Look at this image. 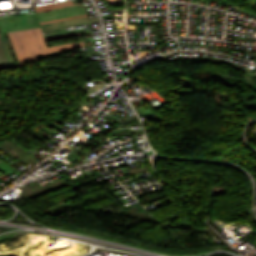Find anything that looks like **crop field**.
<instances>
[{
    "label": "crop field",
    "mask_w": 256,
    "mask_h": 256,
    "mask_svg": "<svg viewBox=\"0 0 256 256\" xmlns=\"http://www.w3.org/2000/svg\"><path fill=\"white\" fill-rule=\"evenodd\" d=\"M21 64L45 58L50 53L86 46L84 42L48 47L41 28L9 33Z\"/></svg>",
    "instance_id": "1"
},
{
    "label": "crop field",
    "mask_w": 256,
    "mask_h": 256,
    "mask_svg": "<svg viewBox=\"0 0 256 256\" xmlns=\"http://www.w3.org/2000/svg\"><path fill=\"white\" fill-rule=\"evenodd\" d=\"M96 22H99L98 18L88 19V17H85V18H79V19H73V20H67V21H61V22L43 24L41 25V28L43 31H46V30H55V29L73 27V26L88 24V23H96Z\"/></svg>",
    "instance_id": "2"
},
{
    "label": "crop field",
    "mask_w": 256,
    "mask_h": 256,
    "mask_svg": "<svg viewBox=\"0 0 256 256\" xmlns=\"http://www.w3.org/2000/svg\"><path fill=\"white\" fill-rule=\"evenodd\" d=\"M86 7V6H85ZM86 14L83 7L37 15L39 22Z\"/></svg>",
    "instance_id": "3"
},
{
    "label": "crop field",
    "mask_w": 256,
    "mask_h": 256,
    "mask_svg": "<svg viewBox=\"0 0 256 256\" xmlns=\"http://www.w3.org/2000/svg\"><path fill=\"white\" fill-rule=\"evenodd\" d=\"M69 5H73V2L69 1V2L50 4V5H46V6H38V7H35V10H36V12H39V11H44V10L65 7V6H69Z\"/></svg>",
    "instance_id": "4"
},
{
    "label": "crop field",
    "mask_w": 256,
    "mask_h": 256,
    "mask_svg": "<svg viewBox=\"0 0 256 256\" xmlns=\"http://www.w3.org/2000/svg\"><path fill=\"white\" fill-rule=\"evenodd\" d=\"M9 67H11V66L8 62V59H7L6 55H5L3 45H2V42H1V39H0V69L9 68Z\"/></svg>",
    "instance_id": "5"
},
{
    "label": "crop field",
    "mask_w": 256,
    "mask_h": 256,
    "mask_svg": "<svg viewBox=\"0 0 256 256\" xmlns=\"http://www.w3.org/2000/svg\"><path fill=\"white\" fill-rule=\"evenodd\" d=\"M0 35H1V39H2V42H3V45H4V49H5L6 55H7L8 59H9V62H10L12 67H16V65L14 63V60H13V57L11 55V51L9 49L8 43L6 41L5 35L4 34H0Z\"/></svg>",
    "instance_id": "6"
},
{
    "label": "crop field",
    "mask_w": 256,
    "mask_h": 256,
    "mask_svg": "<svg viewBox=\"0 0 256 256\" xmlns=\"http://www.w3.org/2000/svg\"><path fill=\"white\" fill-rule=\"evenodd\" d=\"M78 36H81L80 33L62 35V36H55V37H48V38H45V39H46V41H50V40H58V39L72 38V37H78Z\"/></svg>",
    "instance_id": "7"
},
{
    "label": "crop field",
    "mask_w": 256,
    "mask_h": 256,
    "mask_svg": "<svg viewBox=\"0 0 256 256\" xmlns=\"http://www.w3.org/2000/svg\"><path fill=\"white\" fill-rule=\"evenodd\" d=\"M76 32H79V30L76 29V30H71V31H65V32H58V33L46 34V35H44V36H45V37H48V36H55V35H62V34H69V33H76Z\"/></svg>",
    "instance_id": "8"
},
{
    "label": "crop field",
    "mask_w": 256,
    "mask_h": 256,
    "mask_svg": "<svg viewBox=\"0 0 256 256\" xmlns=\"http://www.w3.org/2000/svg\"><path fill=\"white\" fill-rule=\"evenodd\" d=\"M7 34H8V33H7ZM8 38H9V40H7V41H8V43H9L10 49H11V51L14 53V56H15V58H16L18 64H19V66H20L21 64H20V62H19V60H18V57H17V55H16V52H15L14 47H13V45H12V42H11V40H10L9 34H8Z\"/></svg>",
    "instance_id": "9"
},
{
    "label": "crop field",
    "mask_w": 256,
    "mask_h": 256,
    "mask_svg": "<svg viewBox=\"0 0 256 256\" xmlns=\"http://www.w3.org/2000/svg\"><path fill=\"white\" fill-rule=\"evenodd\" d=\"M87 15H84V16H78V17H72V18H66V19H60V20H54V21H48V22H42L40 24H43V23H49V22H55V21H61V20H67V19H73V18H79V17H85Z\"/></svg>",
    "instance_id": "10"
},
{
    "label": "crop field",
    "mask_w": 256,
    "mask_h": 256,
    "mask_svg": "<svg viewBox=\"0 0 256 256\" xmlns=\"http://www.w3.org/2000/svg\"><path fill=\"white\" fill-rule=\"evenodd\" d=\"M111 12H112V16H113V20H114V24H115L114 10L112 9V10H111ZM115 30H117V28H116V24H115Z\"/></svg>",
    "instance_id": "11"
},
{
    "label": "crop field",
    "mask_w": 256,
    "mask_h": 256,
    "mask_svg": "<svg viewBox=\"0 0 256 256\" xmlns=\"http://www.w3.org/2000/svg\"><path fill=\"white\" fill-rule=\"evenodd\" d=\"M1 180V179H0ZM2 181V180H1ZM4 182V181H3ZM7 184V183H6ZM7 185H9V184H7Z\"/></svg>",
    "instance_id": "12"
}]
</instances>
